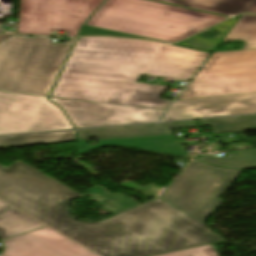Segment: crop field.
I'll use <instances>...</instances> for the list:
<instances>
[{"label": "crop field", "instance_id": "crop-field-1", "mask_svg": "<svg viewBox=\"0 0 256 256\" xmlns=\"http://www.w3.org/2000/svg\"><path fill=\"white\" fill-rule=\"evenodd\" d=\"M74 136L75 131L0 137V148L69 142ZM79 196L24 162L0 165V199L101 256H150L223 240L159 199L100 223H79L66 207Z\"/></svg>", "mask_w": 256, "mask_h": 256}, {"label": "crop field", "instance_id": "crop-field-2", "mask_svg": "<svg viewBox=\"0 0 256 256\" xmlns=\"http://www.w3.org/2000/svg\"><path fill=\"white\" fill-rule=\"evenodd\" d=\"M208 54L162 43L78 38L50 97L166 110L164 86L140 74L189 80Z\"/></svg>", "mask_w": 256, "mask_h": 256}, {"label": "crop field", "instance_id": "crop-field-3", "mask_svg": "<svg viewBox=\"0 0 256 256\" xmlns=\"http://www.w3.org/2000/svg\"><path fill=\"white\" fill-rule=\"evenodd\" d=\"M225 18L145 0H106L85 25L174 42Z\"/></svg>", "mask_w": 256, "mask_h": 256}, {"label": "crop field", "instance_id": "crop-field-4", "mask_svg": "<svg viewBox=\"0 0 256 256\" xmlns=\"http://www.w3.org/2000/svg\"><path fill=\"white\" fill-rule=\"evenodd\" d=\"M14 35L0 43V92L44 96L49 93L75 42Z\"/></svg>", "mask_w": 256, "mask_h": 256}, {"label": "crop field", "instance_id": "crop-field-5", "mask_svg": "<svg viewBox=\"0 0 256 256\" xmlns=\"http://www.w3.org/2000/svg\"><path fill=\"white\" fill-rule=\"evenodd\" d=\"M241 172L193 160L159 199L203 222L222 202L218 197Z\"/></svg>", "mask_w": 256, "mask_h": 256}, {"label": "crop field", "instance_id": "crop-field-6", "mask_svg": "<svg viewBox=\"0 0 256 256\" xmlns=\"http://www.w3.org/2000/svg\"><path fill=\"white\" fill-rule=\"evenodd\" d=\"M256 92V49L213 53L178 100Z\"/></svg>", "mask_w": 256, "mask_h": 256}, {"label": "crop field", "instance_id": "crop-field-7", "mask_svg": "<svg viewBox=\"0 0 256 256\" xmlns=\"http://www.w3.org/2000/svg\"><path fill=\"white\" fill-rule=\"evenodd\" d=\"M104 0H21L17 33L77 36L82 24Z\"/></svg>", "mask_w": 256, "mask_h": 256}, {"label": "crop field", "instance_id": "crop-field-8", "mask_svg": "<svg viewBox=\"0 0 256 256\" xmlns=\"http://www.w3.org/2000/svg\"><path fill=\"white\" fill-rule=\"evenodd\" d=\"M48 98L0 93V134L74 128Z\"/></svg>", "mask_w": 256, "mask_h": 256}, {"label": "crop field", "instance_id": "crop-field-9", "mask_svg": "<svg viewBox=\"0 0 256 256\" xmlns=\"http://www.w3.org/2000/svg\"><path fill=\"white\" fill-rule=\"evenodd\" d=\"M76 128L159 121L164 111L50 98Z\"/></svg>", "mask_w": 256, "mask_h": 256}, {"label": "crop field", "instance_id": "crop-field-10", "mask_svg": "<svg viewBox=\"0 0 256 256\" xmlns=\"http://www.w3.org/2000/svg\"><path fill=\"white\" fill-rule=\"evenodd\" d=\"M3 243L1 256H98L48 227Z\"/></svg>", "mask_w": 256, "mask_h": 256}, {"label": "crop field", "instance_id": "crop-field-11", "mask_svg": "<svg viewBox=\"0 0 256 256\" xmlns=\"http://www.w3.org/2000/svg\"><path fill=\"white\" fill-rule=\"evenodd\" d=\"M256 113V93L182 100L173 103L163 121Z\"/></svg>", "mask_w": 256, "mask_h": 256}, {"label": "crop field", "instance_id": "crop-field-12", "mask_svg": "<svg viewBox=\"0 0 256 256\" xmlns=\"http://www.w3.org/2000/svg\"><path fill=\"white\" fill-rule=\"evenodd\" d=\"M193 126H197L195 121L83 130L78 131V139H90V137H96L98 140H105L129 137L166 135L171 134L170 129Z\"/></svg>", "mask_w": 256, "mask_h": 256}, {"label": "crop field", "instance_id": "crop-field-13", "mask_svg": "<svg viewBox=\"0 0 256 256\" xmlns=\"http://www.w3.org/2000/svg\"><path fill=\"white\" fill-rule=\"evenodd\" d=\"M87 142L88 140H80L78 149L80 154L91 151L101 145L118 144L184 156L183 148L174 142L172 135L98 141L96 145L90 147H87Z\"/></svg>", "mask_w": 256, "mask_h": 256}, {"label": "crop field", "instance_id": "crop-field-14", "mask_svg": "<svg viewBox=\"0 0 256 256\" xmlns=\"http://www.w3.org/2000/svg\"><path fill=\"white\" fill-rule=\"evenodd\" d=\"M164 2L216 12L235 15L241 12L256 13V0H162Z\"/></svg>", "mask_w": 256, "mask_h": 256}, {"label": "crop field", "instance_id": "crop-field-15", "mask_svg": "<svg viewBox=\"0 0 256 256\" xmlns=\"http://www.w3.org/2000/svg\"><path fill=\"white\" fill-rule=\"evenodd\" d=\"M15 209L0 214V240L43 227Z\"/></svg>", "mask_w": 256, "mask_h": 256}, {"label": "crop field", "instance_id": "crop-field-16", "mask_svg": "<svg viewBox=\"0 0 256 256\" xmlns=\"http://www.w3.org/2000/svg\"><path fill=\"white\" fill-rule=\"evenodd\" d=\"M242 40L245 42V49L256 48V16L242 15L222 41Z\"/></svg>", "mask_w": 256, "mask_h": 256}, {"label": "crop field", "instance_id": "crop-field-17", "mask_svg": "<svg viewBox=\"0 0 256 256\" xmlns=\"http://www.w3.org/2000/svg\"><path fill=\"white\" fill-rule=\"evenodd\" d=\"M199 159L215 166L221 167L238 169L256 168V150L232 153L222 158L215 156H203Z\"/></svg>", "mask_w": 256, "mask_h": 256}, {"label": "crop field", "instance_id": "crop-field-18", "mask_svg": "<svg viewBox=\"0 0 256 256\" xmlns=\"http://www.w3.org/2000/svg\"><path fill=\"white\" fill-rule=\"evenodd\" d=\"M239 18H240V16L230 19V20H227V21L209 29V30H213V31H216V32L222 34V36L219 39H207V38H203V37L196 35L188 40H185L183 42H180V43L174 44V45L210 53L216 49L217 45L220 43L222 38L227 34V32L231 29V27L235 24V22Z\"/></svg>", "mask_w": 256, "mask_h": 256}, {"label": "crop field", "instance_id": "crop-field-19", "mask_svg": "<svg viewBox=\"0 0 256 256\" xmlns=\"http://www.w3.org/2000/svg\"><path fill=\"white\" fill-rule=\"evenodd\" d=\"M85 191L92 195L91 199L98 202L99 204H101L102 206H104L105 208H107L108 210L112 211L115 214L139 204L138 202L134 201L133 199L127 196L108 193L98 186L87 189ZM103 201H107L113 206L110 207L106 205L107 203Z\"/></svg>", "mask_w": 256, "mask_h": 256}, {"label": "crop field", "instance_id": "crop-field-20", "mask_svg": "<svg viewBox=\"0 0 256 256\" xmlns=\"http://www.w3.org/2000/svg\"><path fill=\"white\" fill-rule=\"evenodd\" d=\"M201 122L203 125H211L215 133L256 130V116L201 120Z\"/></svg>", "mask_w": 256, "mask_h": 256}, {"label": "crop field", "instance_id": "crop-field-21", "mask_svg": "<svg viewBox=\"0 0 256 256\" xmlns=\"http://www.w3.org/2000/svg\"><path fill=\"white\" fill-rule=\"evenodd\" d=\"M156 256H217L211 245H204L195 248L180 250L176 252Z\"/></svg>", "mask_w": 256, "mask_h": 256}, {"label": "crop field", "instance_id": "crop-field-22", "mask_svg": "<svg viewBox=\"0 0 256 256\" xmlns=\"http://www.w3.org/2000/svg\"><path fill=\"white\" fill-rule=\"evenodd\" d=\"M91 35H106V36H119V37H129V38H139V39H145L137 36H132L124 33H117L112 32L108 30L93 28V27H87L84 26L79 36H91Z\"/></svg>", "mask_w": 256, "mask_h": 256}, {"label": "crop field", "instance_id": "crop-field-23", "mask_svg": "<svg viewBox=\"0 0 256 256\" xmlns=\"http://www.w3.org/2000/svg\"><path fill=\"white\" fill-rule=\"evenodd\" d=\"M6 204V203H5ZM4 203H2V202H0V213L1 212H3V211H5V210H7V209H9V208H11V207H9V206H7V205H5Z\"/></svg>", "mask_w": 256, "mask_h": 256}, {"label": "crop field", "instance_id": "crop-field-24", "mask_svg": "<svg viewBox=\"0 0 256 256\" xmlns=\"http://www.w3.org/2000/svg\"><path fill=\"white\" fill-rule=\"evenodd\" d=\"M10 36H12V35H11V34L1 35V36H0V42L3 41V40H5L6 38H8V37H10Z\"/></svg>", "mask_w": 256, "mask_h": 256}, {"label": "crop field", "instance_id": "crop-field-25", "mask_svg": "<svg viewBox=\"0 0 256 256\" xmlns=\"http://www.w3.org/2000/svg\"><path fill=\"white\" fill-rule=\"evenodd\" d=\"M3 31L0 30V33H2Z\"/></svg>", "mask_w": 256, "mask_h": 256}, {"label": "crop field", "instance_id": "crop-field-26", "mask_svg": "<svg viewBox=\"0 0 256 256\" xmlns=\"http://www.w3.org/2000/svg\"><path fill=\"white\" fill-rule=\"evenodd\" d=\"M159 1H161V0H159Z\"/></svg>", "mask_w": 256, "mask_h": 256}]
</instances>
